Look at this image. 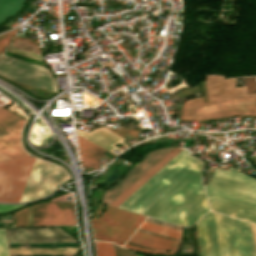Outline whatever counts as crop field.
I'll use <instances>...</instances> for the list:
<instances>
[{"instance_id":"1","label":"crop field","mask_w":256,"mask_h":256,"mask_svg":"<svg viewBox=\"0 0 256 256\" xmlns=\"http://www.w3.org/2000/svg\"><path fill=\"white\" fill-rule=\"evenodd\" d=\"M201 169L200 162L143 215L191 226L209 209L200 181Z\"/></svg>"},{"instance_id":"2","label":"crop field","mask_w":256,"mask_h":256,"mask_svg":"<svg viewBox=\"0 0 256 256\" xmlns=\"http://www.w3.org/2000/svg\"><path fill=\"white\" fill-rule=\"evenodd\" d=\"M214 211L256 223V180L233 168H216L205 186Z\"/></svg>"},{"instance_id":"3","label":"crop field","mask_w":256,"mask_h":256,"mask_svg":"<svg viewBox=\"0 0 256 256\" xmlns=\"http://www.w3.org/2000/svg\"><path fill=\"white\" fill-rule=\"evenodd\" d=\"M199 162L183 149L118 208L142 214Z\"/></svg>"},{"instance_id":"4","label":"crop field","mask_w":256,"mask_h":256,"mask_svg":"<svg viewBox=\"0 0 256 256\" xmlns=\"http://www.w3.org/2000/svg\"><path fill=\"white\" fill-rule=\"evenodd\" d=\"M256 96L202 103L201 97L185 101L181 121L224 118L231 115L256 116Z\"/></svg>"},{"instance_id":"5","label":"crop field","mask_w":256,"mask_h":256,"mask_svg":"<svg viewBox=\"0 0 256 256\" xmlns=\"http://www.w3.org/2000/svg\"><path fill=\"white\" fill-rule=\"evenodd\" d=\"M214 214L222 256H256L250 224Z\"/></svg>"},{"instance_id":"6","label":"crop field","mask_w":256,"mask_h":256,"mask_svg":"<svg viewBox=\"0 0 256 256\" xmlns=\"http://www.w3.org/2000/svg\"><path fill=\"white\" fill-rule=\"evenodd\" d=\"M145 218L110 207L92 224L94 238L122 246Z\"/></svg>"},{"instance_id":"7","label":"crop field","mask_w":256,"mask_h":256,"mask_svg":"<svg viewBox=\"0 0 256 256\" xmlns=\"http://www.w3.org/2000/svg\"><path fill=\"white\" fill-rule=\"evenodd\" d=\"M69 176L61 167L36 159L19 202L32 201L56 190Z\"/></svg>"},{"instance_id":"8","label":"crop field","mask_w":256,"mask_h":256,"mask_svg":"<svg viewBox=\"0 0 256 256\" xmlns=\"http://www.w3.org/2000/svg\"><path fill=\"white\" fill-rule=\"evenodd\" d=\"M34 157L0 163V202H18L32 168Z\"/></svg>"},{"instance_id":"9","label":"crop field","mask_w":256,"mask_h":256,"mask_svg":"<svg viewBox=\"0 0 256 256\" xmlns=\"http://www.w3.org/2000/svg\"><path fill=\"white\" fill-rule=\"evenodd\" d=\"M0 75L19 83L45 88L57 92L53 75L44 67L8 57L0 58Z\"/></svg>"},{"instance_id":"10","label":"crop field","mask_w":256,"mask_h":256,"mask_svg":"<svg viewBox=\"0 0 256 256\" xmlns=\"http://www.w3.org/2000/svg\"><path fill=\"white\" fill-rule=\"evenodd\" d=\"M25 121L0 108V152L12 158L28 155L20 142V130Z\"/></svg>"},{"instance_id":"11","label":"crop field","mask_w":256,"mask_h":256,"mask_svg":"<svg viewBox=\"0 0 256 256\" xmlns=\"http://www.w3.org/2000/svg\"><path fill=\"white\" fill-rule=\"evenodd\" d=\"M33 226L76 225L74 206L68 203H42L31 207Z\"/></svg>"},{"instance_id":"12","label":"crop field","mask_w":256,"mask_h":256,"mask_svg":"<svg viewBox=\"0 0 256 256\" xmlns=\"http://www.w3.org/2000/svg\"><path fill=\"white\" fill-rule=\"evenodd\" d=\"M6 230L9 243L78 242L56 227Z\"/></svg>"},{"instance_id":"13","label":"crop field","mask_w":256,"mask_h":256,"mask_svg":"<svg viewBox=\"0 0 256 256\" xmlns=\"http://www.w3.org/2000/svg\"><path fill=\"white\" fill-rule=\"evenodd\" d=\"M171 149H160L145 155L143 161L136 164L118 184L107 190L106 194L104 193L102 202L109 205Z\"/></svg>"},{"instance_id":"14","label":"crop field","mask_w":256,"mask_h":256,"mask_svg":"<svg viewBox=\"0 0 256 256\" xmlns=\"http://www.w3.org/2000/svg\"><path fill=\"white\" fill-rule=\"evenodd\" d=\"M202 256H221L213 212H208L197 223Z\"/></svg>"},{"instance_id":"15","label":"crop field","mask_w":256,"mask_h":256,"mask_svg":"<svg viewBox=\"0 0 256 256\" xmlns=\"http://www.w3.org/2000/svg\"><path fill=\"white\" fill-rule=\"evenodd\" d=\"M206 85L209 101L256 95V93L246 95V87L236 88L234 78L225 79L219 75H210L206 76Z\"/></svg>"},{"instance_id":"16","label":"crop field","mask_w":256,"mask_h":256,"mask_svg":"<svg viewBox=\"0 0 256 256\" xmlns=\"http://www.w3.org/2000/svg\"><path fill=\"white\" fill-rule=\"evenodd\" d=\"M181 150H182L181 148H173L170 152H168L161 160H159L151 169H149L142 177H140L133 185H131L123 194H121L110 205L117 207L120 203H122L128 196H130L136 189H138L145 181H147L153 174H155L162 166H164L170 159H172Z\"/></svg>"},{"instance_id":"17","label":"crop field","mask_w":256,"mask_h":256,"mask_svg":"<svg viewBox=\"0 0 256 256\" xmlns=\"http://www.w3.org/2000/svg\"><path fill=\"white\" fill-rule=\"evenodd\" d=\"M77 133L79 135L85 137L86 139L108 149L109 151L115 147L114 146L115 144H117L118 142L121 143L120 141L124 140V139L120 138L119 136H117L116 134L112 133L111 131H109L103 127L95 129L94 131H92L90 133L83 132L80 130H77ZM121 144H123V143H121ZM123 145L128 147L125 144H123ZM115 148H117V147H115ZM117 149H119V148H117ZM119 150H121V149H119ZM121 151H123V150H121ZM114 154H116V153H114ZM116 155H118V154H116Z\"/></svg>"},{"instance_id":"18","label":"crop field","mask_w":256,"mask_h":256,"mask_svg":"<svg viewBox=\"0 0 256 256\" xmlns=\"http://www.w3.org/2000/svg\"><path fill=\"white\" fill-rule=\"evenodd\" d=\"M136 243L144 244L158 249L174 251L177 241L161 238L158 236L146 234L137 230V232L129 239Z\"/></svg>"},{"instance_id":"19","label":"crop field","mask_w":256,"mask_h":256,"mask_svg":"<svg viewBox=\"0 0 256 256\" xmlns=\"http://www.w3.org/2000/svg\"><path fill=\"white\" fill-rule=\"evenodd\" d=\"M78 140H79L81 156L86 159H89L91 161H94L98 164H99V158L103 153L108 152V153L112 154L108 150H106V149L80 137V136H78ZM112 155H114V154H112ZM114 156H116V155H114Z\"/></svg>"},{"instance_id":"20","label":"crop field","mask_w":256,"mask_h":256,"mask_svg":"<svg viewBox=\"0 0 256 256\" xmlns=\"http://www.w3.org/2000/svg\"><path fill=\"white\" fill-rule=\"evenodd\" d=\"M78 248L10 249L11 254L75 253Z\"/></svg>"},{"instance_id":"21","label":"crop field","mask_w":256,"mask_h":256,"mask_svg":"<svg viewBox=\"0 0 256 256\" xmlns=\"http://www.w3.org/2000/svg\"><path fill=\"white\" fill-rule=\"evenodd\" d=\"M22 3L23 0H0V22L13 15Z\"/></svg>"},{"instance_id":"22","label":"crop field","mask_w":256,"mask_h":256,"mask_svg":"<svg viewBox=\"0 0 256 256\" xmlns=\"http://www.w3.org/2000/svg\"><path fill=\"white\" fill-rule=\"evenodd\" d=\"M140 229L180 240V235H181L180 231L172 230L169 228L157 226V225L146 223V222L142 224Z\"/></svg>"},{"instance_id":"23","label":"crop field","mask_w":256,"mask_h":256,"mask_svg":"<svg viewBox=\"0 0 256 256\" xmlns=\"http://www.w3.org/2000/svg\"><path fill=\"white\" fill-rule=\"evenodd\" d=\"M96 256H115V252L110 243L95 242Z\"/></svg>"},{"instance_id":"24","label":"crop field","mask_w":256,"mask_h":256,"mask_svg":"<svg viewBox=\"0 0 256 256\" xmlns=\"http://www.w3.org/2000/svg\"><path fill=\"white\" fill-rule=\"evenodd\" d=\"M15 226H28L26 208L14 213Z\"/></svg>"},{"instance_id":"25","label":"crop field","mask_w":256,"mask_h":256,"mask_svg":"<svg viewBox=\"0 0 256 256\" xmlns=\"http://www.w3.org/2000/svg\"><path fill=\"white\" fill-rule=\"evenodd\" d=\"M17 29H14L12 31H9L5 34L0 35V53L3 51V49L7 46V44L10 42L13 34L15 33Z\"/></svg>"},{"instance_id":"26","label":"crop field","mask_w":256,"mask_h":256,"mask_svg":"<svg viewBox=\"0 0 256 256\" xmlns=\"http://www.w3.org/2000/svg\"><path fill=\"white\" fill-rule=\"evenodd\" d=\"M0 256H9L4 229H0Z\"/></svg>"},{"instance_id":"27","label":"crop field","mask_w":256,"mask_h":256,"mask_svg":"<svg viewBox=\"0 0 256 256\" xmlns=\"http://www.w3.org/2000/svg\"><path fill=\"white\" fill-rule=\"evenodd\" d=\"M19 206H21V205H0V212L9 211V210L15 209Z\"/></svg>"},{"instance_id":"28","label":"crop field","mask_w":256,"mask_h":256,"mask_svg":"<svg viewBox=\"0 0 256 256\" xmlns=\"http://www.w3.org/2000/svg\"><path fill=\"white\" fill-rule=\"evenodd\" d=\"M81 160H82V163L83 164H85V165H87V166H89V167H91V168H93V169H97L98 168V164H96V163H94V162H91V161H89V160H86V159H84V158H82L81 157Z\"/></svg>"},{"instance_id":"29","label":"crop field","mask_w":256,"mask_h":256,"mask_svg":"<svg viewBox=\"0 0 256 256\" xmlns=\"http://www.w3.org/2000/svg\"><path fill=\"white\" fill-rule=\"evenodd\" d=\"M124 245H125V244H124ZM125 247L137 249V250L144 251V252H148V253L173 254V253H170V252L147 251V250H144V249H139V248H136V247L129 246V245H127V244L125 245Z\"/></svg>"},{"instance_id":"30","label":"crop field","mask_w":256,"mask_h":256,"mask_svg":"<svg viewBox=\"0 0 256 256\" xmlns=\"http://www.w3.org/2000/svg\"><path fill=\"white\" fill-rule=\"evenodd\" d=\"M252 232H253V237H254V242H255V248H256V225H252Z\"/></svg>"},{"instance_id":"31","label":"crop field","mask_w":256,"mask_h":256,"mask_svg":"<svg viewBox=\"0 0 256 256\" xmlns=\"http://www.w3.org/2000/svg\"><path fill=\"white\" fill-rule=\"evenodd\" d=\"M103 158H105V159H107V160H109V161H111L112 159H110V158H108L107 156H103Z\"/></svg>"}]
</instances>
